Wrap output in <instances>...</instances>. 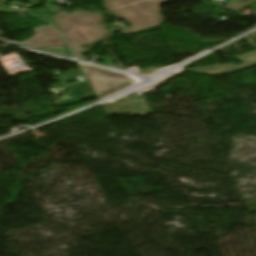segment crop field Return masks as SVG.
Returning a JSON list of instances; mask_svg holds the SVG:
<instances>
[{
    "instance_id": "crop-field-1",
    "label": "crop field",
    "mask_w": 256,
    "mask_h": 256,
    "mask_svg": "<svg viewBox=\"0 0 256 256\" xmlns=\"http://www.w3.org/2000/svg\"><path fill=\"white\" fill-rule=\"evenodd\" d=\"M60 30L64 33L66 40L75 57L85 60L79 53L83 49L80 45L89 44L103 39L107 30L105 26L97 24L102 19V14L84 11H74L71 14L63 11L53 15Z\"/></svg>"
},
{
    "instance_id": "crop-field-2",
    "label": "crop field",
    "mask_w": 256,
    "mask_h": 256,
    "mask_svg": "<svg viewBox=\"0 0 256 256\" xmlns=\"http://www.w3.org/2000/svg\"><path fill=\"white\" fill-rule=\"evenodd\" d=\"M166 0H104L105 7L118 17L135 26L122 29L123 35L140 32L159 25L163 19L157 12Z\"/></svg>"
},
{
    "instance_id": "crop-field-3",
    "label": "crop field",
    "mask_w": 256,
    "mask_h": 256,
    "mask_svg": "<svg viewBox=\"0 0 256 256\" xmlns=\"http://www.w3.org/2000/svg\"><path fill=\"white\" fill-rule=\"evenodd\" d=\"M80 66L98 95L124 87L133 81V79L129 78L127 75L90 66Z\"/></svg>"
},
{
    "instance_id": "crop-field-4",
    "label": "crop field",
    "mask_w": 256,
    "mask_h": 256,
    "mask_svg": "<svg viewBox=\"0 0 256 256\" xmlns=\"http://www.w3.org/2000/svg\"><path fill=\"white\" fill-rule=\"evenodd\" d=\"M235 59L243 62V64L239 66H235L233 64H224V65H218V66L184 70L182 72L191 71L197 74H205V75L231 74V73L256 65V51L235 57Z\"/></svg>"
},
{
    "instance_id": "crop-field-5",
    "label": "crop field",
    "mask_w": 256,
    "mask_h": 256,
    "mask_svg": "<svg viewBox=\"0 0 256 256\" xmlns=\"http://www.w3.org/2000/svg\"><path fill=\"white\" fill-rule=\"evenodd\" d=\"M34 30L36 32L35 36L22 44L33 47L65 46L60 33L51 26L47 25Z\"/></svg>"
},
{
    "instance_id": "crop-field-6",
    "label": "crop field",
    "mask_w": 256,
    "mask_h": 256,
    "mask_svg": "<svg viewBox=\"0 0 256 256\" xmlns=\"http://www.w3.org/2000/svg\"><path fill=\"white\" fill-rule=\"evenodd\" d=\"M164 71L163 68H159V67H153L150 69H144V70H136V71H132L133 73H138V74H143V75H150V74H157L159 72Z\"/></svg>"
},
{
    "instance_id": "crop-field-7",
    "label": "crop field",
    "mask_w": 256,
    "mask_h": 256,
    "mask_svg": "<svg viewBox=\"0 0 256 256\" xmlns=\"http://www.w3.org/2000/svg\"><path fill=\"white\" fill-rule=\"evenodd\" d=\"M251 1H253V0H236V1L232 2L231 4L227 5L226 9L235 10Z\"/></svg>"
},
{
    "instance_id": "crop-field-8",
    "label": "crop field",
    "mask_w": 256,
    "mask_h": 256,
    "mask_svg": "<svg viewBox=\"0 0 256 256\" xmlns=\"http://www.w3.org/2000/svg\"><path fill=\"white\" fill-rule=\"evenodd\" d=\"M6 8H8V7L2 6V7H0V10L6 9Z\"/></svg>"
}]
</instances>
